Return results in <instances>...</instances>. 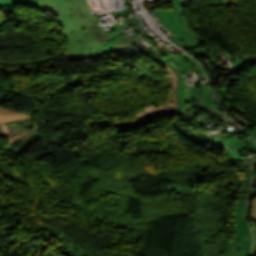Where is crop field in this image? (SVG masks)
<instances>
[{"label":"crop field","instance_id":"obj_8","mask_svg":"<svg viewBox=\"0 0 256 256\" xmlns=\"http://www.w3.org/2000/svg\"><path fill=\"white\" fill-rule=\"evenodd\" d=\"M91 29L94 32V34L96 35L97 39L99 40L105 54L115 51L117 48L114 47L112 44L117 42L118 40L122 39L123 37L127 36L126 34H124L118 38H115V39H112V40L106 42L94 25L91 26Z\"/></svg>","mask_w":256,"mask_h":256},{"label":"crop field","instance_id":"obj_4","mask_svg":"<svg viewBox=\"0 0 256 256\" xmlns=\"http://www.w3.org/2000/svg\"><path fill=\"white\" fill-rule=\"evenodd\" d=\"M33 7L42 10H48L58 17L72 11L78 10L72 0H40Z\"/></svg>","mask_w":256,"mask_h":256},{"label":"crop field","instance_id":"obj_6","mask_svg":"<svg viewBox=\"0 0 256 256\" xmlns=\"http://www.w3.org/2000/svg\"><path fill=\"white\" fill-rule=\"evenodd\" d=\"M201 88L203 91V96L200 100L196 101V103L208 108L212 112L214 117L218 115H222L223 113L217 108L214 102V98L211 94L209 86L208 85L201 86Z\"/></svg>","mask_w":256,"mask_h":256},{"label":"crop field","instance_id":"obj_22","mask_svg":"<svg viewBox=\"0 0 256 256\" xmlns=\"http://www.w3.org/2000/svg\"><path fill=\"white\" fill-rule=\"evenodd\" d=\"M248 133L251 134L256 139V127L250 130Z\"/></svg>","mask_w":256,"mask_h":256},{"label":"crop field","instance_id":"obj_15","mask_svg":"<svg viewBox=\"0 0 256 256\" xmlns=\"http://www.w3.org/2000/svg\"><path fill=\"white\" fill-rule=\"evenodd\" d=\"M185 96H186V90L178 92V100H179L178 114L184 113Z\"/></svg>","mask_w":256,"mask_h":256},{"label":"crop field","instance_id":"obj_11","mask_svg":"<svg viewBox=\"0 0 256 256\" xmlns=\"http://www.w3.org/2000/svg\"><path fill=\"white\" fill-rule=\"evenodd\" d=\"M3 7L11 5H25L32 7L39 0H0Z\"/></svg>","mask_w":256,"mask_h":256},{"label":"crop field","instance_id":"obj_3","mask_svg":"<svg viewBox=\"0 0 256 256\" xmlns=\"http://www.w3.org/2000/svg\"><path fill=\"white\" fill-rule=\"evenodd\" d=\"M175 11H176L182 25L184 26V28L186 30H184L180 33H177L175 35H172L168 38L185 50L198 46L201 41L206 42L205 39L199 37L198 35H196L194 32H192L190 30V28L186 22V19L184 17V14L182 12V9H175Z\"/></svg>","mask_w":256,"mask_h":256},{"label":"crop field","instance_id":"obj_12","mask_svg":"<svg viewBox=\"0 0 256 256\" xmlns=\"http://www.w3.org/2000/svg\"><path fill=\"white\" fill-rule=\"evenodd\" d=\"M163 60H165L167 63H169L175 70V72L178 76V79H179L178 90L186 89V84H185V80H184L183 74L181 72V69L178 66H176L168 57L164 58Z\"/></svg>","mask_w":256,"mask_h":256},{"label":"crop field","instance_id":"obj_7","mask_svg":"<svg viewBox=\"0 0 256 256\" xmlns=\"http://www.w3.org/2000/svg\"><path fill=\"white\" fill-rule=\"evenodd\" d=\"M78 2L80 3L83 11L86 13V15L90 18V20L96 25L97 29L100 31V33L103 35V37L106 39V41L115 38L121 34H123V30H117L115 32H112L110 34L107 33V31L104 29V27H101L100 24L98 23V21L95 19V17L91 14V12L88 9V5L86 0H78Z\"/></svg>","mask_w":256,"mask_h":256},{"label":"crop field","instance_id":"obj_17","mask_svg":"<svg viewBox=\"0 0 256 256\" xmlns=\"http://www.w3.org/2000/svg\"><path fill=\"white\" fill-rule=\"evenodd\" d=\"M225 150L227 151V153L231 157L232 161L240 160L242 158L241 155L238 152H236V151H234L230 148H225Z\"/></svg>","mask_w":256,"mask_h":256},{"label":"crop field","instance_id":"obj_19","mask_svg":"<svg viewBox=\"0 0 256 256\" xmlns=\"http://www.w3.org/2000/svg\"><path fill=\"white\" fill-rule=\"evenodd\" d=\"M251 218H253L256 221V198H254V201L252 203Z\"/></svg>","mask_w":256,"mask_h":256},{"label":"crop field","instance_id":"obj_18","mask_svg":"<svg viewBox=\"0 0 256 256\" xmlns=\"http://www.w3.org/2000/svg\"><path fill=\"white\" fill-rule=\"evenodd\" d=\"M244 140L247 142L246 145L248 148H250L252 152H256V143L251 138H246Z\"/></svg>","mask_w":256,"mask_h":256},{"label":"crop field","instance_id":"obj_10","mask_svg":"<svg viewBox=\"0 0 256 256\" xmlns=\"http://www.w3.org/2000/svg\"><path fill=\"white\" fill-rule=\"evenodd\" d=\"M141 41L142 40L137 35L132 33L113 45L116 46L117 48H122V47H128V46L141 43Z\"/></svg>","mask_w":256,"mask_h":256},{"label":"crop field","instance_id":"obj_14","mask_svg":"<svg viewBox=\"0 0 256 256\" xmlns=\"http://www.w3.org/2000/svg\"><path fill=\"white\" fill-rule=\"evenodd\" d=\"M199 96L198 91L196 90L195 86H188V95H187V104L191 103L192 100H195Z\"/></svg>","mask_w":256,"mask_h":256},{"label":"crop field","instance_id":"obj_5","mask_svg":"<svg viewBox=\"0 0 256 256\" xmlns=\"http://www.w3.org/2000/svg\"><path fill=\"white\" fill-rule=\"evenodd\" d=\"M154 12L161 26H165L173 34L184 30L174 10H158Z\"/></svg>","mask_w":256,"mask_h":256},{"label":"crop field","instance_id":"obj_13","mask_svg":"<svg viewBox=\"0 0 256 256\" xmlns=\"http://www.w3.org/2000/svg\"><path fill=\"white\" fill-rule=\"evenodd\" d=\"M221 143H224V144H227V145H229L231 147H234L238 151H241V150H244V149L247 148V146L245 144H243L241 142V140L239 139V137H237V136H233V137H231V138H229V139H227V140H225V141H223Z\"/></svg>","mask_w":256,"mask_h":256},{"label":"crop field","instance_id":"obj_20","mask_svg":"<svg viewBox=\"0 0 256 256\" xmlns=\"http://www.w3.org/2000/svg\"><path fill=\"white\" fill-rule=\"evenodd\" d=\"M127 12H131L129 8L122 10V11H117V12H113L112 15L113 17L119 14H123V13H127ZM115 18V17H114ZM116 20V19H115Z\"/></svg>","mask_w":256,"mask_h":256},{"label":"crop field","instance_id":"obj_16","mask_svg":"<svg viewBox=\"0 0 256 256\" xmlns=\"http://www.w3.org/2000/svg\"><path fill=\"white\" fill-rule=\"evenodd\" d=\"M166 54H167V53H166ZM168 55H169L171 58H173V59L183 68L184 72L190 71L189 67H191V66L187 65V64L182 60V58H180V57H178V56H176V55H172V54H168Z\"/></svg>","mask_w":256,"mask_h":256},{"label":"crop field","instance_id":"obj_9","mask_svg":"<svg viewBox=\"0 0 256 256\" xmlns=\"http://www.w3.org/2000/svg\"><path fill=\"white\" fill-rule=\"evenodd\" d=\"M29 116L30 115L17 113V112H13V111H10V110L0 108V123L5 122V121L15 120V119H18V118L29 117Z\"/></svg>","mask_w":256,"mask_h":256},{"label":"crop field","instance_id":"obj_1","mask_svg":"<svg viewBox=\"0 0 256 256\" xmlns=\"http://www.w3.org/2000/svg\"><path fill=\"white\" fill-rule=\"evenodd\" d=\"M73 1L79 10L55 19L66 35L65 58L66 60L100 58L104 53L89 27L93 23L82 11L77 0Z\"/></svg>","mask_w":256,"mask_h":256},{"label":"crop field","instance_id":"obj_21","mask_svg":"<svg viewBox=\"0 0 256 256\" xmlns=\"http://www.w3.org/2000/svg\"><path fill=\"white\" fill-rule=\"evenodd\" d=\"M174 8H181V0H174Z\"/></svg>","mask_w":256,"mask_h":256},{"label":"crop field","instance_id":"obj_2","mask_svg":"<svg viewBox=\"0 0 256 256\" xmlns=\"http://www.w3.org/2000/svg\"><path fill=\"white\" fill-rule=\"evenodd\" d=\"M234 226L236 240H229V256H249L252 249V236L245 220L246 201H237ZM238 254V255H236Z\"/></svg>","mask_w":256,"mask_h":256}]
</instances>
